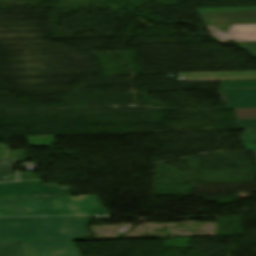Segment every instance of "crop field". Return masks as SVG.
<instances>
[{"mask_svg": "<svg viewBox=\"0 0 256 256\" xmlns=\"http://www.w3.org/2000/svg\"><path fill=\"white\" fill-rule=\"evenodd\" d=\"M197 11L208 26L224 34L233 24H256V8Z\"/></svg>", "mask_w": 256, "mask_h": 256, "instance_id": "34b2d1b8", "label": "crop field"}, {"mask_svg": "<svg viewBox=\"0 0 256 256\" xmlns=\"http://www.w3.org/2000/svg\"><path fill=\"white\" fill-rule=\"evenodd\" d=\"M89 217L0 218V242L85 240Z\"/></svg>", "mask_w": 256, "mask_h": 256, "instance_id": "8a807250", "label": "crop field"}, {"mask_svg": "<svg viewBox=\"0 0 256 256\" xmlns=\"http://www.w3.org/2000/svg\"><path fill=\"white\" fill-rule=\"evenodd\" d=\"M22 161H27L24 150L8 151L7 159H0V182L14 181L13 167Z\"/></svg>", "mask_w": 256, "mask_h": 256, "instance_id": "e52e79f7", "label": "crop field"}, {"mask_svg": "<svg viewBox=\"0 0 256 256\" xmlns=\"http://www.w3.org/2000/svg\"><path fill=\"white\" fill-rule=\"evenodd\" d=\"M7 146L0 144V158H6Z\"/></svg>", "mask_w": 256, "mask_h": 256, "instance_id": "733c2abd", "label": "crop field"}, {"mask_svg": "<svg viewBox=\"0 0 256 256\" xmlns=\"http://www.w3.org/2000/svg\"><path fill=\"white\" fill-rule=\"evenodd\" d=\"M70 195L68 187L43 185L42 180L0 183V197Z\"/></svg>", "mask_w": 256, "mask_h": 256, "instance_id": "412701ff", "label": "crop field"}, {"mask_svg": "<svg viewBox=\"0 0 256 256\" xmlns=\"http://www.w3.org/2000/svg\"><path fill=\"white\" fill-rule=\"evenodd\" d=\"M0 256H22L21 244H0Z\"/></svg>", "mask_w": 256, "mask_h": 256, "instance_id": "28ad6ade", "label": "crop field"}, {"mask_svg": "<svg viewBox=\"0 0 256 256\" xmlns=\"http://www.w3.org/2000/svg\"><path fill=\"white\" fill-rule=\"evenodd\" d=\"M242 139L244 143H256V130H244Z\"/></svg>", "mask_w": 256, "mask_h": 256, "instance_id": "5142ce71", "label": "crop field"}, {"mask_svg": "<svg viewBox=\"0 0 256 256\" xmlns=\"http://www.w3.org/2000/svg\"><path fill=\"white\" fill-rule=\"evenodd\" d=\"M245 150L256 149V144H244Z\"/></svg>", "mask_w": 256, "mask_h": 256, "instance_id": "4a817a6b", "label": "crop field"}, {"mask_svg": "<svg viewBox=\"0 0 256 256\" xmlns=\"http://www.w3.org/2000/svg\"><path fill=\"white\" fill-rule=\"evenodd\" d=\"M228 109L256 108V89L219 90Z\"/></svg>", "mask_w": 256, "mask_h": 256, "instance_id": "dd49c442", "label": "crop field"}, {"mask_svg": "<svg viewBox=\"0 0 256 256\" xmlns=\"http://www.w3.org/2000/svg\"><path fill=\"white\" fill-rule=\"evenodd\" d=\"M218 38L222 42L256 40V25H233L226 35Z\"/></svg>", "mask_w": 256, "mask_h": 256, "instance_id": "d8731c3e", "label": "crop field"}, {"mask_svg": "<svg viewBox=\"0 0 256 256\" xmlns=\"http://www.w3.org/2000/svg\"><path fill=\"white\" fill-rule=\"evenodd\" d=\"M107 211V210H106ZM103 207H87V212L68 213H32V214H0V217L9 216H63V215H99L108 214Z\"/></svg>", "mask_w": 256, "mask_h": 256, "instance_id": "5a996713", "label": "crop field"}, {"mask_svg": "<svg viewBox=\"0 0 256 256\" xmlns=\"http://www.w3.org/2000/svg\"><path fill=\"white\" fill-rule=\"evenodd\" d=\"M238 129H256V119L235 120Z\"/></svg>", "mask_w": 256, "mask_h": 256, "instance_id": "cbeb9de0", "label": "crop field"}, {"mask_svg": "<svg viewBox=\"0 0 256 256\" xmlns=\"http://www.w3.org/2000/svg\"><path fill=\"white\" fill-rule=\"evenodd\" d=\"M23 256H80L73 242L23 244Z\"/></svg>", "mask_w": 256, "mask_h": 256, "instance_id": "f4fd0767", "label": "crop field"}, {"mask_svg": "<svg viewBox=\"0 0 256 256\" xmlns=\"http://www.w3.org/2000/svg\"><path fill=\"white\" fill-rule=\"evenodd\" d=\"M240 44V47H243L250 51L252 54L256 56V41L254 42H236Z\"/></svg>", "mask_w": 256, "mask_h": 256, "instance_id": "d9b57169", "label": "crop field"}, {"mask_svg": "<svg viewBox=\"0 0 256 256\" xmlns=\"http://www.w3.org/2000/svg\"><path fill=\"white\" fill-rule=\"evenodd\" d=\"M86 206H101L95 196L0 199V213L86 211Z\"/></svg>", "mask_w": 256, "mask_h": 256, "instance_id": "ac0d7876", "label": "crop field"}, {"mask_svg": "<svg viewBox=\"0 0 256 256\" xmlns=\"http://www.w3.org/2000/svg\"><path fill=\"white\" fill-rule=\"evenodd\" d=\"M28 142L32 146H52L55 140L53 137H40V138H27Z\"/></svg>", "mask_w": 256, "mask_h": 256, "instance_id": "d1516ede", "label": "crop field"}, {"mask_svg": "<svg viewBox=\"0 0 256 256\" xmlns=\"http://www.w3.org/2000/svg\"><path fill=\"white\" fill-rule=\"evenodd\" d=\"M236 119L256 118V109L234 110Z\"/></svg>", "mask_w": 256, "mask_h": 256, "instance_id": "22f410ed", "label": "crop field"}, {"mask_svg": "<svg viewBox=\"0 0 256 256\" xmlns=\"http://www.w3.org/2000/svg\"><path fill=\"white\" fill-rule=\"evenodd\" d=\"M224 89L256 88V80L222 81Z\"/></svg>", "mask_w": 256, "mask_h": 256, "instance_id": "3316defc", "label": "crop field"}]
</instances>
